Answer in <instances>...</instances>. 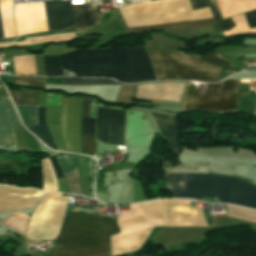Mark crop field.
<instances>
[{"label":"crop field","instance_id":"8a807250","mask_svg":"<svg viewBox=\"0 0 256 256\" xmlns=\"http://www.w3.org/2000/svg\"><path fill=\"white\" fill-rule=\"evenodd\" d=\"M119 233L115 218L65 214L54 256L110 253L109 236Z\"/></svg>","mask_w":256,"mask_h":256},{"label":"crop field","instance_id":"ac0d7876","mask_svg":"<svg viewBox=\"0 0 256 256\" xmlns=\"http://www.w3.org/2000/svg\"><path fill=\"white\" fill-rule=\"evenodd\" d=\"M119 10L127 27L211 17L207 8L191 11L188 0L140 2L129 4ZM210 23H214L212 18L132 27L128 30L156 27H198Z\"/></svg>","mask_w":256,"mask_h":256},{"label":"crop field","instance_id":"34b2d1b8","mask_svg":"<svg viewBox=\"0 0 256 256\" xmlns=\"http://www.w3.org/2000/svg\"><path fill=\"white\" fill-rule=\"evenodd\" d=\"M162 199L130 205L131 214L119 215L121 233L111 237L112 255L140 249L154 226L163 225Z\"/></svg>","mask_w":256,"mask_h":256},{"label":"crop field","instance_id":"412701ff","mask_svg":"<svg viewBox=\"0 0 256 256\" xmlns=\"http://www.w3.org/2000/svg\"><path fill=\"white\" fill-rule=\"evenodd\" d=\"M64 65L128 63L123 47L106 50H77L62 55ZM77 76H109L126 83H134L128 64L65 66Z\"/></svg>","mask_w":256,"mask_h":256},{"label":"crop field","instance_id":"f4fd0767","mask_svg":"<svg viewBox=\"0 0 256 256\" xmlns=\"http://www.w3.org/2000/svg\"><path fill=\"white\" fill-rule=\"evenodd\" d=\"M155 67L158 80H197L218 82L221 67L200 62L182 52L147 51Z\"/></svg>","mask_w":256,"mask_h":256},{"label":"crop field","instance_id":"dd49c442","mask_svg":"<svg viewBox=\"0 0 256 256\" xmlns=\"http://www.w3.org/2000/svg\"><path fill=\"white\" fill-rule=\"evenodd\" d=\"M232 177L213 174H165L166 184L173 197L198 199L199 195L223 199Z\"/></svg>","mask_w":256,"mask_h":256},{"label":"crop field","instance_id":"e52e79f7","mask_svg":"<svg viewBox=\"0 0 256 256\" xmlns=\"http://www.w3.org/2000/svg\"><path fill=\"white\" fill-rule=\"evenodd\" d=\"M237 80H224L218 84L206 85V94H197V89L189 83L184 98V109H202L218 113L236 112Z\"/></svg>","mask_w":256,"mask_h":256},{"label":"crop field","instance_id":"d8731c3e","mask_svg":"<svg viewBox=\"0 0 256 256\" xmlns=\"http://www.w3.org/2000/svg\"><path fill=\"white\" fill-rule=\"evenodd\" d=\"M67 202L66 196L46 194L37 205L25 238L30 240L53 239L59 231Z\"/></svg>","mask_w":256,"mask_h":256},{"label":"crop field","instance_id":"5a996713","mask_svg":"<svg viewBox=\"0 0 256 256\" xmlns=\"http://www.w3.org/2000/svg\"><path fill=\"white\" fill-rule=\"evenodd\" d=\"M84 98H67L62 95L60 107V135L68 152L82 154L80 123Z\"/></svg>","mask_w":256,"mask_h":256},{"label":"crop field","instance_id":"3316defc","mask_svg":"<svg viewBox=\"0 0 256 256\" xmlns=\"http://www.w3.org/2000/svg\"><path fill=\"white\" fill-rule=\"evenodd\" d=\"M15 23L17 36L48 30L43 2L15 4Z\"/></svg>","mask_w":256,"mask_h":256},{"label":"crop field","instance_id":"28ad6ade","mask_svg":"<svg viewBox=\"0 0 256 256\" xmlns=\"http://www.w3.org/2000/svg\"><path fill=\"white\" fill-rule=\"evenodd\" d=\"M97 139L124 145V111L98 107Z\"/></svg>","mask_w":256,"mask_h":256},{"label":"crop field","instance_id":"d1516ede","mask_svg":"<svg viewBox=\"0 0 256 256\" xmlns=\"http://www.w3.org/2000/svg\"><path fill=\"white\" fill-rule=\"evenodd\" d=\"M43 193L0 184V213L33 208Z\"/></svg>","mask_w":256,"mask_h":256},{"label":"crop field","instance_id":"22f410ed","mask_svg":"<svg viewBox=\"0 0 256 256\" xmlns=\"http://www.w3.org/2000/svg\"><path fill=\"white\" fill-rule=\"evenodd\" d=\"M49 30L75 25L71 0L44 2Z\"/></svg>","mask_w":256,"mask_h":256},{"label":"crop field","instance_id":"cbeb9de0","mask_svg":"<svg viewBox=\"0 0 256 256\" xmlns=\"http://www.w3.org/2000/svg\"><path fill=\"white\" fill-rule=\"evenodd\" d=\"M21 124L11 102L0 98V146L16 147L12 126Z\"/></svg>","mask_w":256,"mask_h":256},{"label":"crop field","instance_id":"5142ce71","mask_svg":"<svg viewBox=\"0 0 256 256\" xmlns=\"http://www.w3.org/2000/svg\"><path fill=\"white\" fill-rule=\"evenodd\" d=\"M136 82L156 80L145 47L125 48Z\"/></svg>","mask_w":256,"mask_h":256},{"label":"crop field","instance_id":"d9b57169","mask_svg":"<svg viewBox=\"0 0 256 256\" xmlns=\"http://www.w3.org/2000/svg\"><path fill=\"white\" fill-rule=\"evenodd\" d=\"M222 203H233L256 209V186L233 178Z\"/></svg>","mask_w":256,"mask_h":256},{"label":"crop field","instance_id":"733c2abd","mask_svg":"<svg viewBox=\"0 0 256 256\" xmlns=\"http://www.w3.org/2000/svg\"><path fill=\"white\" fill-rule=\"evenodd\" d=\"M151 115L161 135L165 138L168 146L176 156L178 152L182 149V147L178 143L180 132L177 126L176 117L154 113H151Z\"/></svg>","mask_w":256,"mask_h":256},{"label":"crop field","instance_id":"4a817a6b","mask_svg":"<svg viewBox=\"0 0 256 256\" xmlns=\"http://www.w3.org/2000/svg\"><path fill=\"white\" fill-rule=\"evenodd\" d=\"M73 8L77 32L101 25L99 14L93 4L75 5Z\"/></svg>","mask_w":256,"mask_h":256},{"label":"crop field","instance_id":"bc2a9ffb","mask_svg":"<svg viewBox=\"0 0 256 256\" xmlns=\"http://www.w3.org/2000/svg\"><path fill=\"white\" fill-rule=\"evenodd\" d=\"M91 100L85 99L83 107V115L90 114ZM82 119V133L95 135V120L84 117ZM82 134L83 151L96 153L95 136Z\"/></svg>","mask_w":256,"mask_h":256},{"label":"crop field","instance_id":"214f88e0","mask_svg":"<svg viewBox=\"0 0 256 256\" xmlns=\"http://www.w3.org/2000/svg\"><path fill=\"white\" fill-rule=\"evenodd\" d=\"M41 162L44 174V191H58L56 177L49 159H43Z\"/></svg>","mask_w":256,"mask_h":256},{"label":"crop field","instance_id":"92a150f3","mask_svg":"<svg viewBox=\"0 0 256 256\" xmlns=\"http://www.w3.org/2000/svg\"><path fill=\"white\" fill-rule=\"evenodd\" d=\"M26 127L37 124L38 105H15Z\"/></svg>","mask_w":256,"mask_h":256},{"label":"crop field","instance_id":"dafd665d","mask_svg":"<svg viewBox=\"0 0 256 256\" xmlns=\"http://www.w3.org/2000/svg\"><path fill=\"white\" fill-rule=\"evenodd\" d=\"M46 76H61L63 74L61 55L54 57L44 56Z\"/></svg>","mask_w":256,"mask_h":256},{"label":"crop field","instance_id":"00972430","mask_svg":"<svg viewBox=\"0 0 256 256\" xmlns=\"http://www.w3.org/2000/svg\"><path fill=\"white\" fill-rule=\"evenodd\" d=\"M189 3L192 10L209 7L216 22L223 20L215 0H189Z\"/></svg>","mask_w":256,"mask_h":256},{"label":"crop field","instance_id":"a9b5d70f","mask_svg":"<svg viewBox=\"0 0 256 256\" xmlns=\"http://www.w3.org/2000/svg\"><path fill=\"white\" fill-rule=\"evenodd\" d=\"M66 182L70 193L85 196L77 168L70 172L68 175H66Z\"/></svg>","mask_w":256,"mask_h":256},{"label":"crop field","instance_id":"4177f3b9","mask_svg":"<svg viewBox=\"0 0 256 256\" xmlns=\"http://www.w3.org/2000/svg\"><path fill=\"white\" fill-rule=\"evenodd\" d=\"M28 129L35 136H37L39 139H41L43 142H45L50 148H52L54 150H57L55 145H54V143H53V141H52L51 135L49 133V130H48V127H47L46 124L28 127Z\"/></svg>","mask_w":256,"mask_h":256},{"label":"crop field","instance_id":"730fd06b","mask_svg":"<svg viewBox=\"0 0 256 256\" xmlns=\"http://www.w3.org/2000/svg\"><path fill=\"white\" fill-rule=\"evenodd\" d=\"M55 156L65 175L77 167L76 155L58 153Z\"/></svg>","mask_w":256,"mask_h":256},{"label":"crop field","instance_id":"eef30255","mask_svg":"<svg viewBox=\"0 0 256 256\" xmlns=\"http://www.w3.org/2000/svg\"><path fill=\"white\" fill-rule=\"evenodd\" d=\"M15 104H38L39 92L10 93Z\"/></svg>","mask_w":256,"mask_h":256},{"label":"crop field","instance_id":"ae1a2a85","mask_svg":"<svg viewBox=\"0 0 256 256\" xmlns=\"http://www.w3.org/2000/svg\"><path fill=\"white\" fill-rule=\"evenodd\" d=\"M64 84H120L109 79L62 78Z\"/></svg>","mask_w":256,"mask_h":256},{"label":"crop field","instance_id":"d3111659","mask_svg":"<svg viewBox=\"0 0 256 256\" xmlns=\"http://www.w3.org/2000/svg\"><path fill=\"white\" fill-rule=\"evenodd\" d=\"M190 56H193V57H195V58H197L201 61L212 63V64L219 65V66H222V67L231 68L232 64H233L232 61L222 59V58H220L221 56H218L216 54L207 53V54H205L201 57H196L194 55H190Z\"/></svg>","mask_w":256,"mask_h":256},{"label":"crop field","instance_id":"750c4746","mask_svg":"<svg viewBox=\"0 0 256 256\" xmlns=\"http://www.w3.org/2000/svg\"><path fill=\"white\" fill-rule=\"evenodd\" d=\"M13 83L44 87V80L14 77Z\"/></svg>","mask_w":256,"mask_h":256},{"label":"crop field","instance_id":"bd1437ed","mask_svg":"<svg viewBox=\"0 0 256 256\" xmlns=\"http://www.w3.org/2000/svg\"><path fill=\"white\" fill-rule=\"evenodd\" d=\"M244 15L247 20L249 28H255L256 27V10L245 13Z\"/></svg>","mask_w":256,"mask_h":256},{"label":"crop field","instance_id":"1d83c4d3","mask_svg":"<svg viewBox=\"0 0 256 256\" xmlns=\"http://www.w3.org/2000/svg\"><path fill=\"white\" fill-rule=\"evenodd\" d=\"M218 25H219V27L221 28L222 31H226V30L231 29L232 27L235 26L233 21L231 20V18L219 22Z\"/></svg>","mask_w":256,"mask_h":256},{"label":"crop field","instance_id":"120bbe31","mask_svg":"<svg viewBox=\"0 0 256 256\" xmlns=\"http://www.w3.org/2000/svg\"><path fill=\"white\" fill-rule=\"evenodd\" d=\"M50 160H51V162L53 164V167H54V170H55V173H56V177L57 178L64 177V175H63V173H62V171H61V169H60V167H59L55 157L54 156L50 157Z\"/></svg>","mask_w":256,"mask_h":256},{"label":"crop field","instance_id":"d32e631a","mask_svg":"<svg viewBox=\"0 0 256 256\" xmlns=\"http://www.w3.org/2000/svg\"><path fill=\"white\" fill-rule=\"evenodd\" d=\"M46 123L45 108H39L38 124Z\"/></svg>","mask_w":256,"mask_h":256},{"label":"crop field","instance_id":"5866460e","mask_svg":"<svg viewBox=\"0 0 256 256\" xmlns=\"http://www.w3.org/2000/svg\"><path fill=\"white\" fill-rule=\"evenodd\" d=\"M0 38H3L2 29H1V22H0Z\"/></svg>","mask_w":256,"mask_h":256}]
</instances>
